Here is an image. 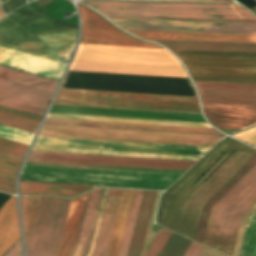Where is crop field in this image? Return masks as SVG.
Returning <instances> with one entry per match:
<instances>
[{
    "mask_svg": "<svg viewBox=\"0 0 256 256\" xmlns=\"http://www.w3.org/2000/svg\"><path fill=\"white\" fill-rule=\"evenodd\" d=\"M77 32L76 25L18 9L0 20V48L54 60L64 57L68 62L76 44ZM5 51H0V65L3 66L58 81L65 68L61 63L52 62L54 60Z\"/></svg>",
    "mask_w": 256,
    "mask_h": 256,
    "instance_id": "obj_1",
    "label": "crop field"
},
{
    "mask_svg": "<svg viewBox=\"0 0 256 256\" xmlns=\"http://www.w3.org/2000/svg\"><path fill=\"white\" fill-rule=\"evenodd\" d=\"M231 147L232 149L226 153L198 183L188 189ZM236 149L238 150L199 187V185ZM255 154V150L230 138L223 140L176 185L165 193L157 222L194 240L203 206Z\"/></svg>",
    "mask_w": 256,
    "mask_h": 256,
    "instance_id": "obj_2",
    "label": "crop field"
},
{
    "mask_svg": "<svg viewBox=\"0 0 256 256\" xmlns=\"http://www.w3.org/2000/svg\"><path fill=\"white\" fill-rule=\"evenodd\" d=\"M38 136L213 147L223 136L43 125ZM34 145L203 155L210 148L45 138Z\"/></svg>",
    "mask_w": 256,
    "mask_h": 256,
    "instance_id": "obj_3",
    "label": "crop field"
},
{
    "mask_svg": "<svg viewBox=\"0 0 256 256\" xmlns=\"http://www.w3.org/2000/svg\"><path fill=\"white\" fill-rule=\"evenodd\" d=\"M69 70L188 77L165 49L80 44Z\"/></svg>",
    "mask_w": 256,
    "mask_h": 256,
    "instance_id": "obj_4",
    "label": "crop field"
},
{
    "mask_svg": "<svg viewBox=\"0 0 256 256\" xmlns=\"http://www.w3.org/2000/svg\"><path fill=\"white\" fill-rule=\"evenodd\" d=\"M49 113L205 122L202 115L52 106ZM48 114L47 117L211 128L206 123ZM46 118L44 124L222 135L213 129Z\"/></svg>",
    "mask_w": 256,
    "mask_h": 256,
    "instance_id": "obj_5",
    "label": "crop field"
},
{
    "mask_svg": "<svg viewBox=\"0 0 256 256\" xmlns=\"http://www.w3.org/2000/svg\"><path fill=\"white\" fill-rule=\"evenodd\" d=\"M81 2L88 4L89 6L246 10L240 5L99 2V1H81ZM92 8L98 10L100 13H102L108 18L256 22V17L250 11L109 8V7H92Z\"/></svg>",
    "mask_w": 256,
    "mask_h": 256,
    "instance_id": "obj_6",
    "label": "crop field"
},
{
    "mask_svg": "<svg viewBox=\"0 0 256 256\" xmlns=\"http://www.w3.org/2000/svg\"><path fill=\"white\" fill-rule=\"evenodd\" d=\"M256 203V165L212 208L204 245L232 256L242 216Z\"/></svg>",
    "mask_w": 256,
    "mask_h": 256,
    "instance_id": "obj_7",
    "label": "crop field"
},
{
    "mask_svg": "<svg viewBox=\"0 0 256 256\" xmlns=\"http://www.w3.org/2000/svg\"><path fill=\"white\" fill-rule=\"evenodd\" d=\"M27 181L166 189L181 175L25 166Z\"/></svg>",
    "mask_w": 256,
    "mask_h": 256,
    "instance_id": "obj_8",
    "label": "crop field"
},
{
    "mask_svg": "<svg viewBox=\"0 0 256 256\" xmlns=\"http://www.w3.org/2000/svg\"><path fill=\"white\" fill-rule=\"evenodd\" d=\"M193 80L256 82V53L172 51Z\"/></svg>",
    "mask_w": 256,
    "mask_h": 256,
    "instance_id": "obj_9",
    "label": "crop field"
},
{
    "mask_svg": "<svg viewBox=\"0 0 256 256\" xmlns=\"http://www.w3.org/2000/svg\"><path fill=\"white\" fill-rule=\"evenodd\" d=\"M71 199L44 196L41 199L27 256H53L62 237Z\"/></svg>",
    "mask_w": 256,
    "mask_h": 256,
    "instance_id": "obj_10",
    "label": "crop field"
},
{
    "mask_svg": "<svg viewBox=\"0 0 256 256\" xmlns=\"http://www.w3.org/2000/svg\"><path fill=\"white\" fill-rule=\"evenodd\" d=\"M27 161L188 170L196 161L31 151Z\"/></svg>",
    "mask_w": 256,
    "mask_h": 256,
    "instance_id": "obj_11",
    "label": "crop field"
},
{
    "mask_svg": "<svg viewBox=\"0 0 256 256\" xmlns=\"http://www.w3.org/2000/svg\"><path fill=\"white\" fill-rule=\"evenodd\" d=\"M55 100L199 109L196 98L67 89Z\"/></svg>",
    "mask_w": 256,
    "mask_h": 256,
    "instance_id": "obj_12",
    "label": "crop field"
},
{
    "mask_svg": "<svg viewBox=\"0 0 256 256\" xmlns=\"http://www.w3.org/2000/svg\"><path fill=\"white\" fill-rule=\"evenodd\" d=\"M111 20L127 31L256 34V23Z\"/></svg>",
    "mask_w": 256,
    "mask_h": 256,
    "instance_id": "obj_13",
    "label": "crop field"
},
{
    "mask_svg": "<svg viewBox=\"0 0 256 256\" xmlns=\"http://www.w3.org/2000/svg\"><path fill=\"white\" fill-rule=\"evenodd\" d=\"M77 6L82 22L80 43L162 48L152 43L140 41L124 33L86 7L80 4H77Z\"/></svg>",
    "mask_w": 256,
    "mask_h": 256,
    "instance_id": "obj_14",
    "label": "crop field"
},
{
    "mask_svg": "<svg viewBox=\"0 0 256 256\" xmlns=\"http://www.w3.org/2000/svg\"><path fill=\"white\" fill-rule=\"evenodd\" d=\"M49 96L43 98V96ZM53 94L0 79V105L43 116Z\"/></svg>",
    "mask_w": 256,
    "mask_h": 256,
    "instance_id": "obj_15",
    "label": "crop field"
},
{
    "mask_svg": "<svg viewBox=\"0 0 256 256\" xmlns=\"http://www.w3.org/2000/svg\"><path fill=\"white\" fill-rule=\"evenodd\" d=\"M202 103L256 105V84L195 82Z\"/></svg>",
    "mask_w": 256,
    "mask_h": 256,
    "instance_id": "obj_16",
    "label": "crop field"
},
{
    "mask_svg": "<svg viewBox=\"0 0 256 256\" xmlns=\"http://www.w3.org/2000/svg\"><path fill=\"white\" fill-rule=\"evenodd\" d=\"M202 108L218 129H244L256 124V106L202 104Z\"/></svg>",
    "mask_w": 256,
    "mask_h": 256,
    "instance_id": "obj_17",
    "label": "crop field"
},
{
    "mask_svg": "<svg viewBox=\"0 0 256 256\" xmlns=\"http://www.w3.org/2000/svg\"><path fill=\"white\" fill-rule=\"evenodd\" d=\"M157 191L143 190L127 256H140Z\"/></svg>",
    "mask_w": 256,
    "mask_h": 256,
    "instance_id": "obj_18",
    "label": "crop field"
},
{
    "mask_svg": "<svg viewBox=\"0 0 256 256\" xmlns=\"http://www.w3.org/2000/svg\"><path fill=\"white\" fill-rule=\"evenodd\" d=\"M123 189L110 188L95 250L92 256H105L114 227Z\"/></svg>",
    "mask_w": 256,
    "mask_h": 256,
    "instance_id": "obj_19",
    "label": "crop field"
},
{
    "mask_svg": "<svg viewBox=\"0 0 256 256\" xmlns=\"http://www.w3.org/2000/svg\"><path fill=\"white\" fill-rule=\"evenodd\" d=\"M87 194L88 192L79 197H76L75 199H72L61 245L55 256H70L72 253L75 246Z\"/></svg>",
    "mask_w": 256,
    "mask_h": 256,
    "instance_id": "obj_20",
    "label": "crop field"
},
{
    "mask_svg": "<svg viewBox=\"0 0 256 256\" xmlns=\"http://www.w3.org/2000/svg\"><path fill=\"white\" fill-rule=\"evenodd\" d=\"M20 238L15 197L0 208V256Z\"/></svg>",
    "mask_w": 256,
    "mask_h": 256,
    "instance_id": "obj_21",
    "label": "crop field"
},
{
    "mask_svg": "<svg viewBox=\"0 0 256 256\" xmlns=\"http://www.w3.org/2000/svg\"><path fill=\"white\" fill-rule=\"evenodd\" d=\"M145 39L162 40H192V41H222V42H252L256 43V35L230 34H197V33H154L131 32Z\"/></svg>",
    "mask_w": 256,
    "mask_h": 256,
    "instance_id": "obj_22",
    "label": "crop field"
},
{
    "mask_svg": "<svg viewBox=\"0 0 256 256\" xmlns=\"http://www.w3.org/2000/svg\"><path fill=\"white\" fill-rule=\"evenodd\" d=\"M156 42L166 45L167 48H169L170 50L256 52V44H248V43H208V42H168V41H156Z\"/></svg>",
    "mask_w": 256,
    "mask_h": 256,
    "instance_id": "obj_23",
    "label": "crop field"
},
{
    "mask_svg": "<svg viewBox=\"0 0 256 256\" xmlns=\"http://www.w3.org/2000/svg\"><path fill=\"white\" fill-rule=\"evenodd\" d=\"M256 164V155L204 206L196 241L202 243L211 208Z\"/></svg>",
    "mask_w": 256,
    "mask_h": 256,
    "instance_id": "obj_24",
    "label": "crop field"
},
{
    "mask_svg": "<svg viewBox=\"0 0 256 256\" xmlns=\"http://www.w3.org/2000/svg\"><path fill=\"white\" fill-rule=\"evenodd\" d=\"M91 186L64 185V184H39L20 182V194H55L73 196L81 193Z\"/></svg>",
    "mask_w": 256,
    "mask_h": 256,
    "instance_id": "obj_25",
    "label": "crop field"
},
{
    "mask_svg": "<svg viewBox=\"0 0 256 256\" xmlns=\"http://www.w3.org/2000/svg\"><path fill=\"white\" fill-rule=\"evenodd\" d=\"M134 190L124 189L108 255L117 256Z\"/></svg>",
    "mask_w": 256,
    "mask_h": 256,
    "instance_id": "obj_26",
    "label": "crop field"
},
{
    "mask_svg": "<svg viewBox=\"0 0 256 256\" xmlns=\"http://www.w3.org/2000/svg\"><path fill=\"white\" fill-rule=\"evenodd\" d=\"M0 78L13 81L16 83L28 85L31 87L47 90L52 93L54 92L58 84L57 82H53V81H49L39 77L24 74L21 72L13 71L3 67H0Z\"/></svg>",
    "mask_w": 256,
    "mask_h": 256,
    "instance_id": "obj_27",
    "label": "crop field"
},
{
    "mask_svg": "<svg viewBox=\"0 0 256 256\" xmlns=\"http://www.w3.org/2000/svg\"><path fill=\"white\" fill-rule=\"evenodd\" d=\"M20 160L0 154V189L15 194V179Z\"/></svg>",
    "mask_w": 256,
    "mask_h": 256,
    "instance_id": "obj_28",
    "label": "crop field"
},
{
    "mask_svg": "<svg viewBox=\"0 0 256 256\" xmlns=\"http://www.w3.org/2000/svg\"><path fill=\"white\" fill-rule=\"evenodd\" d=\"M41 197H20L26 246L30 241Z\"/></svg>",
    "mask_w": 256,
    "mask_h": 256,
    "instance_id": "obj_29",
    "label": "crop field"
},
{
    "mask_svg": "<svg viewBox=\"0 0 256 256\" xmlns=\"http://www.w3.org/2000/svg\"><path fill=\"white\" fill-rule=\"evenodd\" d=\"M98 190H99V188H96V189L90 191V196H89V200H88V203L86 206V210H85L77 246H76V249L72 256H81L84 251L87 234H88V230H89V226H90V222H91V218H92V214H93V210H94V206H95V202H96V198H97V194H98Z\"/></svg>",
    "mask_w": 256,
    "mask_h": 256,
    "instance_id": "obj_30",
    "label": "crop field"
},
{
    "mask_svg": "<svg viewBox=\"0 0 256 256\" xmlns=\"http://www.w3.org/2000/svg\"><path fill=\"white\" fill-rule=\"evenodd\" d=\"M33 150L198 160L201 157L34 147Z\"/></svg>",
    "mask_w": 256,
    "mask_h": 256,
    "instance_id": "obj_31",
    "label": "crop field"
},
{
    "mask_svg": "<svg viewBox=\"0 0 256 256\" xmlns=\"http://www.w3.org/2000/svg\"><path fill=\"white\" fill-rule=\"evenodd\" d=\"M39 123V121L0 111V124L4 126L34 134Z\"/></svg>",
    "mask_w": 256,
    "mask_h": 256,
    "instance_id": "obj_32",
    "label": "crop field"
},
{
    "mask_svg": "<svg viewBox=\"0 0 256 256\" xmlns=\"http://www.w3.org/2000/svg\"><path fill=\"white\" fill-rule=\"evenodd\" d=\"M191 240L172 233L160 256H183Z\"/></svg>",
    "mask_w": 256,
    "mask_h": 256,
    "instance_id": "obj_33",
    "label": "crop field"
},
{
    "mask_svg": "<svg viewBox=\"0 0 256 256\" xmlns=\"http://www.w3.org/2000/svg\"><path fill=\"white\" fill-rule=\"evenodd\" d=\"M141 191L142 190H135V192H134V196H133V200H132V204H131V208H130V212H129V216H128L129 220L134 221V219H135V215H136V211H137ZM132 227H133V223L127 221L118 256H125L126 255V251H127V247H128Z\"/></svg>",
    "mask_w": 256,
    "mask_h": 256,
    "instance_id": "obj_34",
    "label": "crop field"
},
{
    "mask_svg": "<svg viewBox=\"0 0 256 256\" xmlns=\"http://www.w3.org/2000/svg\"><path fill=\"white\" fill-rule=\"evenodd\" d=\"M54 104L200 113L199 110H191V109H175V108H159V107H143V106H127V105H111V104H95V103H79V102H63V101H55Z\"/></svg>",
    "mask_w": 256,
    "mask_h": 256,
    "instance_id": "obj_35",
    "label": "crop field"
},
{
    "mask_svg": "<svg viewBox=\"0 0 256 256\" xmlns=\"http://www.w3.org/2000/svg\"><path fill=\"white\" fill-rule=\"evenodd\" d=\"M240 256H256V213L249 220Z\"/></svg>",
    "mask_w": 256,
    "mask_h": 256,
    "instance_id": "obj_36",
    "label": "crop field"
},
{
    "mask_svg": "<svg viewBox=\"0 0 256 256\" xmlns=\"http://www.w3.org/2000/svg\"><path fill=\"white\" fill-rule=\"evenodd\" d=\"M171 233L172 232L161 227V229L158 231V233L155 235V237L150 242L144 256H159L164 245L166 244L167 240L169 239Z\"/></svg>",
    "mask_w": 256,
    "mask_h": 256,
    "instance_id": "obj_37",
    "label": "crop field"
},
{
    "mask_svg": "<svg viewBox=\"0 0 256 256\" xmlns=\"http://www.w3.org/2000/svg\"><path fill=\"white\" fill-rule=\"evenodd\" d=\"M71 11H75V9L70 6L56 3V4L46 8L45 10L39 12V14L47 15L51 18H55L58 20H62V21L77 25L76 16L64 19L63 15H62L63 13L71 12Z\"/></svg>",
    "mask_w": 256,
    "mask_h": 256,
    "instance_id": "obj_38",
    "label": "crop field"
},
{
    "mask_svg": "<svg viewBox=\"0 0 256 256\" xmlns=\"http://www.w3.org/2000/svg\"><path fill=\"white\" fill-rule=\"evenodd\" d=\"M28 145L0 138V152L23 158Z\"/></svg>",
    "mask_w": 256,
    "mask_h": 256,
    "instance_id": "obj_39",
    "label": "crop field"
},
{
    "mask_svg": "<svg viewBox=\"0 0 256 256\" xmlns=\"http://www.w3.org/2000/svg\"><path fill=\"white\" fill-rule=\"evenodd\" d=\"M33 134H29L26 132L18 131L15 129H11L8 127L0 126V137L10 139L13 141L21 142L24 144H30Z\"/></svg>",
    "mask_w": 256,
    "mask_h": 256,
    "instance_id": "obj_40",
    "label": "crop field"
},
{
    "mask_svg": "<svg viewBox=\"0 0 256 256\" xmlns=\"http://www.w3.org/2000/svg\"><path fill=\"white\" fill-rule=\"evenodd\" d=\"M104 189L105 188H100V190H99V194H98V198H97V202H96V206H95V211H94V215H93V219H92V223H91V227H90V232H89L86 248H85V251H84L82 256H87V254L89 252V249H90V245H91V241H92V237H93V233H94V229H95V225H96V221H97V217H98V213H99V209H100Z\"/></svg>",
    "mask_w": 256,
    "mask_h": 256,
    "instance_id": "obj_41",
    "label": "crop field"
},
{
    "mask_svg": "<svg viewBox=\"0 0 256 256\" xmlns=\"http://www.w3.org/2000/svg\"><path fill=\"white\" fill-rule=\"evenodd\" d=\"M233 137H236V138L256 147V127L251 130L235 134V135H233Z\"/></svg>",
    "mask_w": 256,
    "mask_h": 256,
    "instance_id": "obj_42",
    "label": "crop field"
},
{
    "mask_svg": "<svg viewBox=\"0 0 256 256\" xmlns=\"http://www.w3.org/2000/svg\"><path fill=\"white\" fill-rule=\"evenodd\" d=\"M24 3H26L24 0H9L2 4L1 8L4 10L5 13H8Z\"/></svg>",
    "mask_w": 256,
    "mask_h": 256,
    "instance_id": "obj_43",
    "label": "crop field"
},
{
    "mask_svg": "<svg viewBox=\"0 0 256 256\" xmlns=\"http://www.w3.org/2000/svg\"><path fill=\"white\" fill-rule=\"evenodd\" d=\"M203 249V246L192 241L190 247L188 248L184 256H199Z\"/></svg>",
    "mask_w": 256,
    "mask_h": 256,
    "instance_id": "obj_44",
    "label": "crop field"
},
{
    "mask_svg": "<svg viewBox=\"0 0 256 256\" xmlns=\"http://www.w3.org/2000/svg\"><path fill=\"white\" fill-rule=\"evenodd\" d=\"M5 256H23L21 240Z\"/></svg>",
    "mask_w": 256,
    "mask_h": 256,
    "instance_id": "obj_45",
    "label": "crop field"
},
{
    "mask_svg": "<svg viewBox=\"0 0 256 256\" xmlns=\"http://www.w3.org/2000/svg\"><path fill=\"white\" fill-rule=\"evenodd\" d=\"M0 110L41 121V118H37V117H33V116L26 115V114H23V113L15 112V111L8 110V109H5V108L0 107Z\"/></svg>",
    "mask_w": 256,
    "mask_h": 256,
    "instance_id": "obj_46",
    "label": "crop field"
},
{
    "mask_svg": "<svg viewBox=\"0 0 256 256\" xmlns=\"http://www.w3.org/2000/svg\"><path fill=\"white\" fill-rule=\"evenodd\" d=\"M12 195H7L0 193V207L11 197Z\"/></svg>",
    "mask_w": 256,
    "mask_h": 256,
    "instance_id": "obj_47",
    "label": "crop field"
},
{
    "mask_svg": "<svg viewBox=\"0 0 256 256\" xmlns=\"http://www.w3.org/2000/svg\"><path fill=\"white\" fill-rule=\"evenodd\" d=\"M181 1H214V2H234L233 0H181Z\"/></svg>",
    "mask_w": 256,
    "mask_h": 256,
    "instance_id": "obj_48",
    "label": "crop field"
},
{
    "mask_svg": "<svg viewBox=\"0 0 256 256\" xmlns=\"http://www.w3.org/2000/svg\"><path fill=\"white\" fill-rule=\"evenodd\" d=\"M68 73H69V71L67 72V74H66V76H65V79H66V77H67V75H68ZM65 79H64V81H65ZM189 80V79H188ZM64 81H63V83H64ZM190 82V81H189ZM63 83H62V85H63ZM191 84V83H190ZM62 85H61V87H62ZM192 86V85H191ZM193 88V87H192Z\"/></svg>",
    "mask_w": 256,
    "mask_h": 256,
    "instance_id": "obj_49",
    "label": "crop field"
},
{
    "mask_svg": "<svg viewBox=\"0 0 256 256\" xmlns=\"http://www.w3.org/2000/svg\"><path fill=\"white\" fill-rule=\"evenodd\" d=\"M4 13L0 10V18L3 17Z\"/></svg>",
    "mask_w": 256,
    "mask_h": 256,
    "instance_id": "obj_50",
    "label": "crop field"
},
{
    "mask_svg": "<svg viewBox=\"0 0 256 256\" xmlns=\"http://www.w3.org/2000/svg\"><path fill=\"white\" fill-rule=\"evenodd\" d=\"M254 12H256V6L255 7H253V8H251Z\"/></svg>",
    "mask_w": 256,
    "mask_h": 256,
    "instance_id": "obj_51",
    "label": "crop field"
},
{
    "mask_svg": "<svg viewBox=\"0 0 256 256\" xmlns=\"http://www.w3.org/2000/svg\"><path fill=\"white\" fill-rule=\"evenodd\" d=\"M256 2V0H254Z\"/></svg>",
    "mask_w": 256,
    "mask_h": 256,
    "instance_id": "obj_52",
    "label": "crop field"
}]
</instances>
